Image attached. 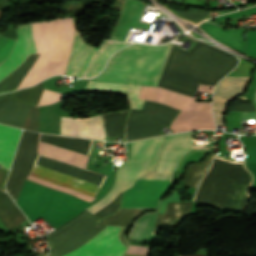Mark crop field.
<instances>
[{
    "label": "crop field",
    "mask_w": 256,
    "mask_h": 256,
    "mask_svg": "<svg viewBox=\"0 0 256 256\" xmlns=\"http://www.w3.org/2000/svg\"><path fill=\"white\" fill-rule=\"evenodd\" d=\"M42 92L43 81L32 88L17 90L12 98H16L23 102L37 105Z\"/></svg>",
    "instance_id": "a9b5d70f"
},
{
    "label": "crop field",
    "mask_w": 256,
    "mask_h": 256,
    "mask_svg": "<svg viewBox=\"0 0 256 256\" xmlns=\"http://www.w3.org/2000/svg\"><path fill=\"white\" fill-rule=\"evenodd\" d=\"M148 248L129 245L126 253L145 256Z\"/></svg>",
    "instance_id": "750c4746"
},
{
    "label": "crop field",
    "mask_w": 256,
    "mask_h": 256,
    "mask_svg": "<svg viewBox=\"0 0 256 256\" xmlns=\"http://www.w3.org/2000/svg\"><path fill=\"white\" fill-rule=\"evenodd\" d=\"M236 61L234 56L199 41L188 52L172 46L158 86L193 97L199 84L214 86Z\"/></svg>",
    "instance_id": "ac0d7876"
},
{
    "label": "crop field",
    "mask_w": 256,
    "mask_h": 256,
    "mask_svg": "<svg viewBox=\"0 0 256 256\" xmlns=\"http://www.w3.org/2000/svg\"><path fill=\"white\" fill-rule=\"evenodd\" d=\"M17 35L13 26H10L7 33L0 35V64L6 60L13 50Z\"/></svg>",
    "instance_id": "4177f3b9"
},
{
    "label": "crop field",
    "mask_w": 256,
    "mask_h": 256,
    "mask_svg": "<svg viewBox=\"0 0 256 256\" xmlns=\"http://www.w3.org/2000/svg\"><path fill=\"white\" fill-rule=\"evenodd\" d=\"M37 142V133L23 131L18 151L6 184L7 191L15 201H17L23 182L27 178L37 156Z\"/></svg>",
    "instance_id": "28ad6ade"
},
{
    "label": "crop field",
    "mask_w": 256,
    "mask_h": 256,
    "mask_svg": "<svg viewBox=\"0 0 256 256\" xmlns=\"http://www.w3.org/2000/svg\"><path fill=\"white\" fill-rule=\"evenodd\" d=\"M21 130L0 125V163L9 168Z\"/></svg>",
    "instance_id": "733c2abd"
},
{
    "label": "crop field",
    "mask_w": 256,
    "mask_h": 256,
    "mask_svg": "<svg viewBox=\"0 0 256 256\" xmlns=\"http://www.w3.org/2000/svg\"><path fill=\"white\" fill-rule=\"evenodd\" d=\"M211 160V154H208L201 163L190 164L186 170L182 186L196 188L201 177L207 171Z\"/></svg>",
    "instance_id": "92a150f3"
},
{
    "label": "crop field",
    "mask_w": 256,
    "mask_h": 256,
    "mask_svg": "<svg viewBox=\"0 0 256 256\" xmlns=\"http://www.w3.org/2000/svg\"><path fill=\"white\" fill-rule=\"evenodd\" d=\"M252 13H256V7L246 9L243 11H239V12H235V13H231V14H227V15H223V16L217 17L216 20L232 19V18H236V17H240V16H246V15L252 14Z\"/></svg>",
    "instance_id": "d3111659"
},
{
    "label": "crop field",
    "mask_w": 256,
    "mask_h": 256,
    "mask_svg": "<svg viewBox=\"0 0 256 256\" xmlns=\"http://www.w3.org/2000/svg\"><path fill=\"white\" fill-rule=\"evenodd\" d=\"M99 116L101 115L93 116L89 118L77 119V120H85V119H90V118L99 117ZM66 119H72V118H66ZM66 119H61V134L105 139V133H104L101 117L85 120V121L66 120Z\"/></svg>",
    "instance_id": "5142ce71"
},
{
    "label": "crop field",
    "mask_w": 256,
    "mask_h": 256,
    "mask_svg": "<svg viewBox=\"0 0 256 256\" xmlns=\"http://www.w3.org/2000/svg\"><path fill=\"white\" fill-rule=\"evenodd\" d=\"M199 27L224 45L243 53L242 29L224 31L221 27L210 23H203Z\"/></svg>",
    "instance_id": "4a817a6b"
},
{
    "label": "crop field",
    "mask_w": 256,
    "mask_h": 256,
    "mask_svg": "<svg viewBox=\"0 0 256 256\" xmlns=\"http://www.w3.org/2000/svg\"><path fill=\"white\" fill-rule=\"evenodd\" d=\"M39 127V107L31 105L24 128L38 131Z\"/></svg>",
    "instance_id": "730fd06b"
},
{
    "label": "crop field",
    "mask_w": 256,
    "mask_h": 256,
    "mask_svg": "<svg viewBox=\"0 0 256 256\" xmlns=\"http://www.w3.org/2000/svg\"><path fill=\"white\" fill-rule=\"evenodd\" d=\"M60 96H61L60 93H56V92L44 89V92L42 94V97L40 99L38 106L52 104L60 100Z\"/></svg>",
    "instance_id": "eef30255"
},
{
    "label": "crop field",
    "mask_w": 256,
    "mask_h": 256,
    "mask_svg": "<svg viewBox=\"0 0 256 256\" xmlns=\"http://www.w3.org/2000/svg\"><path fill=\"white\" fill-rule=\"evenodd\" d=\"M192 132L168 136L160 153L156 172L140 178L170 179L179 158L191 148ZM170 180L137 179L123 197L158 199L168 188Z\"/></svg>",
    "instance_id": "e52e79f7"
},
{
    "label": "crop field",
    "mask_w": 256,
    "mask_h": 256,
    "mask_svg": "<svg viewBox=\"0 0 256 256\" xmlns=\"http://www.w3.org/2000/svg\"><path fill=\"white\" fill-rule=\"evenodd\" d=\"M87 211L43 236L50 247V256H63L89 240L104 225ZM120 227L107 226L82 246L65 256H122L126 248L120 243L117 232Z\"/></svg>",
    "instance_id": "34b2d1b8"
},
{
    "label": "crop field",
    "mask_w": 256,
    "mask_h": 256,
    "mask_svg": "<svg viewBox=\"0 0 256 256\" xmlns=\"http://www.w3.org/2000/svg\"><path fill=\"white\" fill-rule=\"evenodd\" d=\"M250 76L244 77H224L215 88L213 101L228 102L233 96L241 93L242 88L246 86ZM213 102V112L217 126L223 125L222 114L224 103Z\"/></svg>",
    "instance_id": "22f410ed"
},
{
    "label": "crop field",
    "mask_w": 256,
    "mask_h": 256,
    "mask_svg": "<svg viewBox=\"0 0 256 256\" xmlns=\"http://www.w3.org/2000/svg\"><path fill=\"white\" fill-rule=\"evenodd\" d=\"M51 191V189L25 180L17 204L30 220ZM88 204L71 195L53 190L30 222L42 215L57 227L78 214Z\"/></svg>",
    "instance_id": "f4fd0767"
},
{
    "label": "crop field",
    "mask_w": 256,
    "mask_h": 256,
    "mask_svg": "<svg viewBox=\"0 0 256 256\" xmlns=\"http://www.w3.org/2000/svg\"><path fill=\"white\" fill-rule=\"evenodd\" d=\"M211 146H197L193 145V149L195 150H210Z\"/></svg>",
    "instance_id": "120bbe31"
},
{
    "label": "crop field",
    "mask_w": 256,
    "mask_h": 256,
    "mask_svg": "<svg viewBox=\"0 0 256 256\" xmlns=\"http://www.w3.org/2000/svg\"><path fill=\"white\" fill-rule=\"evenodd\" d=\"M170 1L181 2V0H170Z\"/></svg>",
    "instance_id": "5866460e"
},
{
    "label": "crop field",
    "mask_w": 256,
    "mask_h": 256,
    "mask_svg": "<svg viewBox=\"0 0 256 256\" xmlns=\"http://www.w3.org/2000/svg\"><path fill=\"white\" fill-rule=\"evenodd\" d=\"M254 103H256V92H255V95H254Z\"/></svg>",
    "instance_id": "d32e631a"
},
{
    "label": "crop field",
    "mask_w": 256,
    "mask_h": 256,
    "mask_svg": "<svg viewBox=\"0 0 256 256\" xmlns=\"http://www.w3.org/2000/svg\"><path fill=\"white\" fill-rule=\"evenodd\" d=\"M40 56L20 85L32 86L55 74L65 73L74 38L71 18L32 23Z\"/></svg>",
    "instance_id": "412701ff"
},
{
    "label": "crop field",
    "mask_w": 256,
    "mask_h": 256,
    "mask_svg": "<svg viewBox=\"0 0 256 256\" xmlns=\"http://www.w3.org/2000/svg\"><path fill=\"white\" fill-rule=\"evenodd\" d=\"M171 45L133 44L119 50L103 72L90 79L86 88L127 92L129 107L140 109L144 102L137 99L140 87L158 85Z\"/></svg>",
    "instance_id": "8a807250"
},
{
    "label": "crop field",
    "mask_w": 256,
    "mask_h": 256,
    "mask_svg": "<svg viewBox=\"0 0 256 256\" xmlns=\"http://www.w3.org/2000/svg\"><path fill=\"white\" fill-rule=\"evenodd\" d=\"M9 170L5 169V168H1L0 169V189H4V184L7 178Z\"/></svg>",
    "instance_id": "bd1437ed"
},
{
    "label": "crop field",
    "mask_w": 256,
    "mask_h": 256,
    "mask_svg": "<svg viewBox=\"0 0 256 256\" xmlns=\"http://www.w3.org/2000/svg\"><path fill=\"white\" fill-rule=\"evenodd\" d=\"M25 219L7 193L0 190V222L7 231L16 228Z\"/></svg>",
    "instance_id": "bc2a9ffb"
},
{
    "label": "crop field",
    "mask_w": 256,
    "mask_h": 256,
    "mask_svg": "<svg viewBox=\"0 0 256 256\" xmlns=\"http://www.w3.org/2000/svg\"><path fill=\"white\" fill-rule=\"evenodd\" d=\"M163 138L132 143L130 159L118 168L113 188L103 199L87 209L95 214L119 193L129 188L136 180V177L142 176L148 171L155 170L156 158L160 151Z\"/></svg>",
    "instance_id": "5a996713"
},
{
    "label": "crop field",
    "mask_w": 256,
    "mask_h": 256,
    "mask_svg": "<svg viewBox=\"0 0 256 256\" xmlns=\"http://www.w3.org/2000/svg\"><path fill=\"white\" fill-rule=\"evenodd\" d=\"M256 113L241 112V118H255Z\"/></svg>",
    "instance_id": "1d83c4d3"
},
{
    "label": "crop field",
    "mask_w": 256,
    "mask_h": 256,
    "mask_svg": "<svg viewBox=\"0 0 256 256\" xmlns=\"http://www.w3.org/2000/svg\"><path fill=\"white\" fill-rule=\"evenodd\" d=\"M145 7L137 0H126L111 39L124 40L129 27L148 30L151 24L139 23Z\"/></svg>",
    "instance_id": "cbeb9de0"
},
{
    "label": "crop field",
    "mask_w": 256,
    "mask_h": 256,
    "mask_svg": "<svg viewBox=\"0 0 256 256\" xmlns=\"http://www.w3.org/2000/svg\"><path fill=\"white\" fill-rule=\"evenodd\" d=\"M246 54L256 58V32L249 31Z\"/></svg>",
    "instance_id": "ae1a2a85"
},
{
    "label": "crop field",
    "mask_w": 256,
    "mask_h": 256,
    "mask_svg": "<svg viewBox=\"0 0 256 256\" xmlns=\"http://www.w3.org/2000/svg\"><path fill=\"white\" fill-rule=\"evenodd\" d=\"M191 203H174L169 202L163 215H158L157 222L150 236L153 235L154 230L158 224H170L172 225L174 219H180L185 216L186 213H190Z\"/></svg>",
    "instance_id": "214f88e0"
},
{
    "label": "crop field",
    "mask_w": 256,
    "mask_h": 256,
    "mask_svg": "<svg viewBox=\"0 0 256 256\" xmlns=\"http://www.w3.org/2000/svg\"><path fill=\"white\" fill-rule=\"evenodd\" d=\"M214 87L200 85L197 92L212 93ZM184 96L167 89L159 87L142 86L138 98L152 100L181 109L179 115L171 123L175 132H182L191 129H215V124L210 108L211 102H195V98Z\"/></svg>",
    "instance_id": "dd49c442"
},
{
    "label": "crop field",
    "mask_w": 256,
    "mask_h": 256,
    "mask_svg": "<svg viewBox=\"0 0 256 256\" xmlns=\"http://www.w3.org/2000/svg\"><path fill=\"white\" fill-rule=\"evenodd\" d=\"M157 215L158 213L156 212L155 214H146L137 219L130 232L129 238L132 240L147 239L156 222Z\"/></svg>",
    "instance_id": "dafd665d"
},
{
    "label": "crop field",
    "mask_w": 256,
    "mask_h": 256,
    "mask_svg": "<svg viewBox=\"0 0 256 256\" xmlns=\"http://www.w3.org/2000/svg\"><path fill=\"white\" fill-rule=\"evenodd\" d=\"M127 44H129V42H120L108 39L95 51L82 78H91L98 75L106 66L109 57L117 50L125 47ZM93 51L94 47L90 46L83 39L81 34L76 31L66 75L80 77Z\"/></svg>",
    "instance_id": "3316defc"
},
{
    "label": "crop field",
    "mask_w": 256,
    "mask_h": 256,
    "mask_svg": "<svg viewBox=\"0 0 256 256\" xmlns=\"http://www.w3.org/2000/svg\"><path fill=\"white\" fill-rule=\"evenodd\" d=\"M38 154L43 155L46 157H50L56 160H60L63 162H67L70 164H74L80 167H86V163L88 160L87 154L79 153V152H74L66 149H61L53 146H48L44 144H38ZM30 175L60 184L64 185L91 195L96 196L100 186L67 176L65 174L38 166V165H33ZM28 177V179L33 180L37 183L58 189L60 191L69 193L73 196L79 197L81 199H84L86 201L92 202L94 199V196L64 187L60 186L33 176Z\"/></svg>",
    "instance_id": "d8731c3e"
},
{
    "label": "crop field",
    "mask_w": 256,
    "mask_h": 256,
    "mask_svg": "<svg viewBox=\"0 0 256 256\" xmlns=\"http://www.w3.org/2000/svg\"><path fill=\"white\" fill-rule=\"evenodd\" d=\"M1 168V167H0Z\"/></svg>",
    "instance_id": "028f5c9d"
},
{
    "label": "crop field",
    "mask_w": 256,
    "mask_h": 256,
    "mask_svg": "<svg viewBox=\"0 0 256 256\" xmlns=\"http://www.w3.org/2000/svg\"><path fill=\"white\" fill-rule=\"evenodd\" d=\"M17 35V42L12 54L0 65V80L21 65L29 53L37 52L31 24L18 25Z\"/></svg>",
    "instance_id": "d1516ede"
},
{
    "label": "crop field",
    "mask_w": 256,
    "mask_h": 256,
    "mask_svg": "<svg viewBox=\"0 0 256 256\" xmlns=\"http://www.w3.org/2000/svg\"><path fill=\"white\" fill-rule=\"evenodd\" d=\"M142 211V209H119L114 216L103 219L101 224L129 226Z\"/></svg>",
    "instance_id": "00972430"
},
{
    "label": "crop field",
    "mask_w": 256,
    "mask_h": 256,
    "mask_svg": "<svg viewBox=\"0 0 256 256\" xmlns=\"http://www.w3.org/2000/svg\"><path fill=\"white\" fill-rule=\"evenodd\" d=\"M29 104L10 98L0 107V122L23 128Z\"/></svg>",
    "instance_id": "d9b57169"
}]
</instances>
